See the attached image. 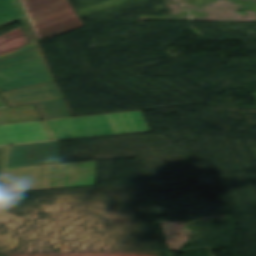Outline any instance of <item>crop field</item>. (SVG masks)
<instances>
[{"label": "crop field", "mask_w": 256, "mask_h": 256, "mask_svg": "<svg viewBox=\"0 0 256 256\" xmlns=\"http://www.w3.org/2000/svg\"><path fill=\"white\" fill-rule=\"evenodd\" d=\"M10 107L35 103L43 120L70 117L54 81L1 92Z\"/></svg>", "instance_id": "obj_4"}, {"label": "crop field", "mask_w": 256, "mask_h": 256, "mask_svg": "<svg viewBox=\"0 0 256 256\" xmlns=\"http://www.w3.org/2000/svg\"><path fill=\"white\" fill-rule=\"evenodd\" d=\"M19 21L22 27L0 36V53L37 42L27 19Z\"/></svg>", "instance_id": "obj_8"}, {"label": "crop field", "mask_w": 256, "mask_h": 256, "mask_svg": "<svg viewBox=\"0 0 256 256\" xmlns=\"http://www.w3.org/2000/svg\"><path fill=\"white\" fill-rule=\"evenodd\" d=\"M1 107H6V104L4 103V101L1 99V97H0V108Z\"/></svg>", "instance_id": "obj_12"}, {"label": "crop field", "mask_w": 256, "mask_h": 256, "mask_svg": "<svg viewBox=\"0 0 256 256\" xmlns=\"http://www.w3.org/2000/svg\"><path fill=\"white\" fill-rule=\"evenodd\" d=\"M59 163L58 141L10 146L5 168Z\"/></svg>", "instance_id": "obj_6"}, {"label": "crop field", "mask_w": 256, "mask_h": 256, "mask_svg": "<svg viewBox=\"0 0 256 256\" xmlns=\"http://www.w3.org/2000/svg\"><path fill=\"white\" fill-rule=\"evenodd\" d=\"M20 1L39 42L83 26L68 0ZM49 35L52 36L47 37Z\"/></svg>", "instance_id": "obj_3"}, {"label": "crop field", "mask_w": 256, "mask_h": 256, "mask_svg": "<svg viewBox=\"0 0 256 256\" xmlns=\"http://www.w3.org/2000/svg\"><path fill=\"white\" fill-rule=\"evenodd\" d=\"M95 162L55 164L5 169L1 189L11 183V191L94 185Z\"/></svg>", "instance_id": "obj_1"}, {"label": "crop field", "mask_w": 256, "mask_h": 256, "mask_svg": "<svg viewBox=\"0 0 256 256\" xmlns=\"http://www.w3.org/2000/svg\"><path fill=\"white\" fill-rule=\"evenodd\" d=\"M53 80L43 57L0 70L3 91Z\"/></svg>", "instance_id": "obj_5"}, {"label": "crop field", "mask_w": 256, "mask_h": 256, "mask_svg": "<svg viewBox=\"0 0 256 256\" xmlns=\"http://www.w3.org/2000/svg\"><path fill=\"white\" fill-rule=\"evenodd\" d=\"M43 122L52 141L149 131L140 111Z\"/></svg>", "instance_id": "obj_2"}, {"label": "crop field", "mask_w": 256, "mask_h": 256, "mask_svg": "<svg viewBox=\"0 0 256 256\" xmlns=\"http://www.w3.org/2000/svg\"><path fill=\"white\" fill-rule=\"evenodd\" d=\"M24 17L18 0H0V27Z\"/></svg>", "instance_id": "obj_11"}, {"label": "crop field", "mask_w": 256, "mask_h": 256, "mask_svg": "<svg viewBox=\"0 0 256 256\" xmlns=\"http://www.w3.org/2000/svg\"><path fill=\"white\" fill-rule=\"evenodd\" d=\"M36 44L0 54V69L40 57Z\"/></svg>", "instance_id": "obj_10"}, {"label": "crop field", "mask_w": 256, "mask_h": 256, "mask_svg": "<svg viewBox=\"0 0 256 256\" xmlns=\"http://www.w3.org/2000/svg\"><path fill=\"white\" fill-rule=\"evenodd\" d=\"M42 120L35 105L0 109V124Z\"/></svg>", "instance_id": "obj_9"}, {"label": "crop field", "mask_w": 256, "mask_h": 256, "mask_svg": "<svg viewBox=\"0 0 256 256\" xmlns=\"http://www.w3.org/2000/svg\"><path fill=\"white\" fill-rule=\"evenodd\" d=\"M1 92V91H0Z\"/></svg>", "instance_id": "obj_13"}, {"label": "crop field", "mask_w": 256, "mask_h": 256, "mask_svg": "<svg viewBox=\"0 0 256 256\" xmlns=\"http://www.w3.org/2000/svg\"><path fill=\"white\" fill-rule=\"evenodd\" d=\"M51 141L42 121L0 125V146Z\"/></svg>", "instance_id": "obj_7"}]
</instances>
